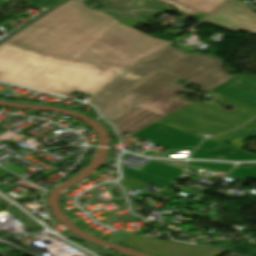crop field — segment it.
<instances>
[{
    "mask_svg": "<svg viewBox=\"0 0 256 256\" xmlns=\"http://www.w3.org/2000/svg\"><path fill=\"white\" fill-rule=\"evenodd\" d=\"M139 171L149 173V174H152L161 178H165L171 181L179 178L183 172L182 170H179L170 166H166L154 161L150 162Z\"/></svg>",
    "mask_w": 256,
    "mask_h": 256,
    "instance_id": "crop-field-11",
    "label": "crop field"
},
{
    "mask_svg": "<svg viewBox=\"0 0 256 256\" xmlns=\"http://www.w3.org/2000/svg\"><path fill=\"white\" fill-rule=\"evenodd\" d=\"M228 256H235V255L230 254V255H228Z\"/></svg>",
    "mask_w": 256,
    "mask_h": 256,
    "instance_id": "crop-field-26",
    "label": "crop field"
},
{
    "mask_svg": "<svg viewBox=\"0 0 256 256\" xmlns=\"http://www.w3.org/2000/svg\"><path fill=\"white\" fill-rule=\"evenodd\" d=\"M58 0H31L30 6L36 7V8H41L45 5H52Z\"/></svg>",
    "mask_w": 256,
    "mask_h": 256,
    "instance_id": "crop-field-18",
    "label": "crop field"
},
{
    "mask_svg": "<svg viewBox=\"0 0 256 256\" xmlns=\"http://www.w3.org/2000/svg\"><path fill=\"white\" fill-rule=\"evenodd\" d=\"M197 19H202L225 0H159ZM201 15L200 17L196 16Z\"/></svg>",
    "mask_w": 256,
    "mask_h": 256,
    "instance_id": "crop-field-9",
    "label": "crop field"
},
{
    "mask_svg": "<svg viewBox=\"0 0 256 256\" xmlns=\"http://www.w3.org/2000/svg\"><path fill=\"white\" fill-rule=\"evenodd\" d=\"M243 136H246V137H255V136H256V130L251 131V132H249V133H247V134H244Z\"/></svg>",
    "mask_w": 256,
    "mask_h": 256,
    "instance_id": "crop-field-22",
    "label": "crop field"
},
{
    "mask_svg": "<svg viewBox=\"0 0 256 256\" xmlns=\"http://www.w3.org/2000/svg\"><path fill=\"white\" fill-rule=\"evenodd\" d=\"M219 143L217 142H213V141H205L203 143L200 144V148H203V149H207V150H211L213 149L215 146H217Z\"/></svg>",
    "mask_w": 256,
    "mask_h": 256,
    "instance_id": "crop-field-20",
    "label": "crop field"
},
{
    "mask_svg": "<svg viewBox=\"0 0 256 256\" xmlns=\"http://www.w3.org/2000/svg\"><path fill=\"white\" fill-rule=\"evenodd\" d=\"M172 185V184H171ZM171 185H169L167 188H165L163 191H161V192H164V193H167V194H173V195H175L174 193H173V191L172 190H170L169 188L171 187ZM176 196V195H175Z\"/></svg>",
    "mask_w": 256,
    "mask_h": 256,
    "instance_id": "crop-field-21",
    "label": "crop field"
},
{
    "mask_svg": "<svg viewBox=\"0 0 256 256\" xmlns=\"http://www.w3.org/2000/svg\"><path fill=\"white\" fill-rule=\"evenodd\" d=\"M87 113L91 114V115H92V117H93V116H97V114H96V112L94 111V109H93V108H92V109H90Z\"/></svg>",
    "mask_w": 256,
    "mask_h": 256,
    "instance_id": "crop-field-24",
    "label": "crop field"
},
{
    "mask_svg": "<svg viewBox=\"0 0 256 256\" xmlns=\"http://www.w3.org/2000/svg\"><path fill=\"white\" fill-rule=\"evenodd\" d=\"M168 43L68 0L0 45V80L66 97L93 95L117 70Z\"/></svg>",
    "mask_w": 256,
    "mask_h": 256,
    "instance_id": "crop-field-1",
    "label": "crop field"
},
{
    "mask_svg": "<svg viewBox=\"0 0 256 256\" xmlns=\"http://www.w3.org/2000/svg\"><path fill=\"white\" fill-rule=\"evenodd\" d=\"M190 158L228 160V161L256 160L255 155L245 153L224 145L217 147L211 152L202 150V149H197L191 155Z\"/></svg>",
    "mask_w": 256,
    "mask_h": 256,
    "instance_id": "crop-field-10",
    "label": "crop field"
},
{
    "mask_svg": "<svg viewBox=\"0 0 256 256\" xmlns=\"http://www.w3.org/2000/svg\"><path fill=\"white\" fill-rule=\"evenodd\" d=\"M141 62L173 72L190 83L203 87L201 91L204 92L233 77L222 71V60L212 55H189L172 46Z\"/></svg>",
    "mask_w": 256,
    "mask_h": 256,
    "instance_id": "crop-field-3",
    "label": "crop field"
},
{
    "mask_svg": "<svg viewBox=\"0 0 256 256\" xmlns=\"http://www.w3.org/2000/svg\"><path fill=\"white\" fill-rule=\"evenodd\" d=\"M134 135L151 139L153 140L151 143L168 147L170 149H178L184 146L196 147L197 144L203 140L201 137L157 123L135 133Z\"/></svg>",
    "mask_w": 256,
    "mask_h": 256,
    "instance_id": "crop-field-7",
    "label": "crop field"
},
{
    "mask_svg": "<svg viewBox=\"0 0 256 256\" xmlns=\"http://www.w3.org/2000/svg\"><path fill=\"white\" fill-rule=\"evenodd\" d=\"M253 165L254 167L252 169L238 167L228 175L256 179V164Z\"/></svg>",
    "mask_w": 256,
    "mask_h": 256,
    "instance_id": "crop-field-15",
    "label": "crop field"
},
{
    "mask_svg": "<svg viewBox=\"0 0 256 256\" xmlns=\"http://www.w3.org/2000/svg\"><path fill=\"white\" fill-rule=\"evenodd\" d=\"M205 22L233 31L243 28L256 33V15L247 9L245 3L238 0L230 1Z\"/></svg>",
    "mask_w": 256,
    "mask_h": 256,
    "instance_id": "crop-field-6",
    "label": "crop field"
},
{
    "mask_svg": "<svg viewBox=\"0 0 256 256\" xmlns=\"http://www.w3.org/2000/svg\"><path fill=\"white\" fill-rule=\"evenodd\" d=\"M8 174H10V173L0 168V178L6 176Z\"/></svg>",
    "mask_w": 256,
    "mask_h": 256,
    "instance_id": "crop-field-23",
    "label": "crop field"
},
{
    "mask_svg": "<svg viewBox=\"0 0 256 256\" xmlns=\"http://www.w3.org/2000/svg\"><path fill=\"white\" fill-rule=\"evenodd\" d=\"M177 79L170 73L137 63L89 103L117 127L119 135L126 131L133 134L188 105L175 95L180 90L200 95L184 89L188 83L174 84Z\"/></svg>",
    "mask_w": 256,
    "mask_h": 256,
    "instance_id": "crop-field-2",
    "label": "crop field"
},
{
    "mask_svg": "<svg viewBox=\"0 0 256 256\" xmlns=\"http://www.w3.org/2000/svg\"><path fill=\"white\" fill-rule=\"evenodd\" d=\"M245 139H246V137L240 136V137H237L236 139L229 140L230 146L241 150Z\"/></svg>",
    "mask_w": 256,
    "mask_h": 256,
    "instance_id": "crop-field-19",
    "label": "crop field"
},
{
    "mask_svg": "<svg viewBox=\"0 0 256 256\" xmlns=\"http://www.w3.org/2000/svg\"><path fill=\"white\" fill-rule=\"evenodd\" d=\"M254 129H256V118L252 122H250V123L246 124L245 126H243L242 128H240L239 130H236L232 133H226L224 135L216 136V137L211 138L209 140H213V141H217V142L222 143L226 140H229V139H232L234 137L240 136V135H242V134H244V133H246L250 130H254Z\"/></svg>",
    "mask_w": 256,
    "mask_h": 256,
    "instance_id": "crop-field-13",
    "label": "crop field"
},
{
    "mask_svg": "<svg viewBox=\"0 0 256 256\" xmlns=\"http://www.w3.org/2000/svg\"><path fill=\"white\" fill-rule=\"evenodd\" d=\"M123 173L125 176L140 180L142 182L157 186V187H164L167 184H169L171 181L165 180V179H161L149 174H145L139 171H136L134 169L128 168L126 166H123Z\"/></svg>",
    "mask_w": 256,
    "mask_h": 256,
    "instance_id": "crop-field-12",
    "label": "crop field"
},
{
    "mask_svg": "<svg viewBox=\"0 0 256 256\" xmlns=\"http://www.w3.org/2000/svg\"><path fill=\"white\" fill-rule=\"evenodd\" d=\"M219 105L228 107L221 103ZM251 118L253 116L236 109L226 111L207 103L195 102L157 121V123L195 135L201 131L215 135L235 129Z\"/></svg>",
    "mask_w": 256,
    "mask_h": 256,
    "instance_id": "crop-field-4",
    "label": "crop field"
},
{
    "mask_svg": "<svg viewBox=\"0 0 256 256\" xmlns=\"http://www.w3.org/2000/svg\"><path fill=\"white\" fill-rule=\"evenodd\" d=\"M220 98L225 99L224 101L221 102V103H223V104H226V105H228V106H231V107H233V108H236V109H238V110H241V111H243V112H246V113L251 114V115H253V116L256 115V109L253 108V107L244 105V104H242V103L236 102V101H234V100L228 99V98L223 97V96H221Z\"/></svg>",
    "mask_w": 256,
    "mask_h": 256,
    "instance_id": "crop-field-14",
    "label": "crop field"
},
{
    "mask_svg": "<svg viewBox=\"0 0 256 256\" xmlns=\"http://www.w3.org/2000/svg\"><path fill=\"white\" fill-rule=\"evenodd\" d=\"M188 164L216 168V169L224 170L226 172H228L230 169H232L234 167V165H232V164L211 163V162H191Z\"/></svg>",
    "mask_w": 256,
    "mask_h": 256,
    "instance_id": "crop-field-16",
    "label": "crop field"
},
{
    "mask_svg": "<svg viewBox=\"0 0 256 256\" xmlns=\"http://www.w3.org/2000/svg\"><path fill=\"white\" fill-rule=\"evenodd\" d=\"M228 249L243 256H256V248L234 245Z\"/></svg>",
    "mask_w": 256,
    "mask_h": 256,
    "instance_id": "crop-field-17",
    "label": "crop field"
},
{
    "mask_svg": "<svg viewBox=\"0 0 256 256\" xmlns=\"http://www.w3.org/2000/svg\"><path fill=\"white\" fill-rule=\"evenodd\" d=\"M211 91L256 107V79L246 75H236Z\"/></svg>",
    "mask_w": 256,
    "mask_h": 256,
    "instance_id": "crop-field-8",
    "label": "crop field"
},
{
    "mask_svg": "<svg viewBox=\"0 0 256 256\" xmlns=\"http://www.w3.org/2000/svg\"><path fill=\"white\" fill-rule=\"evenodd\" d=\"M121 244L159 256H216L223 251L168 240L146 241L138 238H128Z\"/></svg>",
    "mask_w": 256,
    "mask_h": 256,
    "instance_id": "crop-field-5",
    "label": "crop field"
},
{
    "mask_svg": "<svg viewBox=\"0 0 256 256\" xmlns=\"http://www.w3.org/2000/svg\"><path fill=\"white\" fill-rule=\"evenodd\" d=\"M187 191H191V192H194V193H196V194H199V193H200V191H196V190H194V189H192V188L188 189Z\"/></svg>",
    "mask_w": 256,
    "mask_h": 256,
    "instance_id": "crop-field-25",
    "label": "crop field"
}]
</instances>
